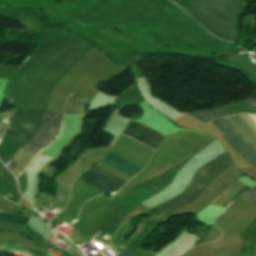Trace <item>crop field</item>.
<instances>
[{"mask_svg":"<svg viewBox=\"0 0 256 256\" xmlns=\"http://www.w3.org/2000/svg\"><path fill=\"white\" fill-rule=\"evenodd\" d=\"M123 133L155 149L160 141L166 137L147 126L132 120L129 122ZM100 162L116 169L117 171L131 178L143 169L110 151L108 152L106 157ZM78 179L92 185L93 187L107 194L117 191L125 183L124 181L110 175L109 173L97 167H93L88 172L81 175Z\"/></svg>","mask_w":256,"mask_h":256,"instance_id":"1","label":"crop field"},{"mask_svg":"<svg viewBox=\"0 0 256 256\" xmlns=\"http://www.w3.org/2000/svg\"><path fill=\"white\" fill-rule=\"evenodd\" d=\"M254 188L248 190L246 193H244L240 197H242L243 199L247 200L248 202L256 206V189Z\"/></svg>","mask_w":256,"mask_h":256,"instance_id":"9","label":"crop field"},{"mask_svg":"<svg viewBox=\"0 0 256 256\" xmlns=\"http://www.w3.org/2000/svg\"><path fill=\"white\" fill-rule=\"evenodd\" d=\"M43 113L18 108L3 136L25 142L29 141L41 126Z\"/></svg>","mask_w":256,"mask_h":256,"instance_id":"2","label":"crop field"},{"mask_svg":"<svg viewBox=\"0 0 256 256\" xmlns=\"http://www.w3.org/2000/svg\"><path fill=\"white\" fill-rule=\"evenodd\" d=\"M248 106L256 108V92L248 99L240 101Z\"/></svg>","mask_w":256,"mask_h":256,"instance_id":"10","label":"crop field"},{"mask_svg":"<svg viewBox=\"0 0 256 256\" xmlns=\"http://www.w3.org/2000/svg\"><path fill=\"white\" fill-rule=\"evenodd\" d=\"M28 217L26 216H18L9 213H0V221L2 222H9V223H22L25 224Z\"/></svg>","mask_w":256,"mask_h":256,"instance_id":"8","label":"crop field"},{"mask_svg":"<svg viewBox=\"0 0 256 256\" xmlns=\"http://www.w3.org/2000/svg\"><path fill=\"white\" fill-rule=\"evenodd\" d=\"M250 187L246 186L245 184L235 181L231 185H229L218 198H216L213 202L210 204L217 205L223 208H226V206L229 204L231 200H235V198L244 192H246ZM232 203V201H231ZM230 203V204H231ZM229 204V205H230ZM228 205V206H229Z\"/></svg>","mask_w":256,"mask_h":256,"instance_id":"5","label":"crop field"},{"mask_svg":"<svg viewBox=\"0 0 256 256\" xmlns=\"http://www.w3.org/2000/svg\"><path fill=\"white\" fill-rule=\"evenodd\" d=\"M90 101V99L71 96L65 104L64 114L85 113L84 110Z\"/></svg>","mask_w":256,"mask_h":256,"instance_id":"6","label":"crop field"},{"mask_svg":"<svg viewBox=\"0 0 256 256\" xmlns=\"http://www.w3.org/2000/svg\"><path fill=\"white\" fill-rule=\"evenodd\" d=\"M224 135L221 137L247 162L256 166V149L227 118L211 121Z\"/></svg>","mask_w":256,"mask_h":256,"instance_id":"3","label":"crop field"},{"mask_svg":"<svg viewBox=\"0 0 256 256\" xmlns=\"http://www.w3.org/2000/svg\"><path fill=\"white\" fill-rule=\"evenodd\" d=\"M63 112L45 110L44 121L37 134L20 149L36 155L59 133Z\"/></svg>","mask_w":256,"mask_h":256,"instance_id":"4","label":"crop field"},{"mask_svg":"<svg viewBox=\"0 0 256 256\" xmlns=\"http://www.w3.org/2000/svg\"><path fill=\"white\" fill-rule=\"evenodd\" d=\"M189 114L203 122H207V121H210L213 119L232 115L220 108L212 109V110L190 112Z\"/></svg>","mask_w":256,"mask_h":256,"instance_id":"7","label":"crop field"}]
</instances>
